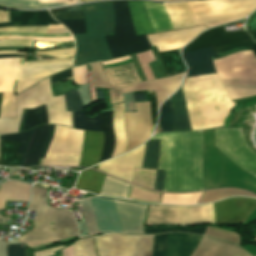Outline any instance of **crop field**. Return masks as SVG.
Instances as JSON below:
<instances>
[{"label":"crop field","mask_w":256,"mask_h":256,"mask_svg":"<svg viewBox=\"0 0 256 256\" xmlns=\"http://www.w3.org/2000/svg\"><path fill=\"white\" fill-rule=\"evenodd\" d=\"M42 2H76L75 0H42Z\"/></svg>","instance_id":"crop-field-71"},{"label":"crop field","mask_w":256,"mask_h":256,"mask_svg":"<svg viewBox=\"0 0 256 256\" xmlns=\"http://www.w3.org/2000/svg\"><path fill=\"white\" fill-rule=\"evenodd\" d=\"M231 196L255 197L249 193H245L237 190H215L210 192H204L198 204L212 202L218 199L231 197Z\"/></svg>","instance_id":"crop-field-38"},{"label":"crop field","mask_w":256,"mask_h":256,"mask_svg":"<svg viewBox=\"0 0 256 256\" xmlns=\"http://www.w3.org/2000/svg\"><path fill=\"white\" fill-rule=\"evenodd\" d=\"M100 126L104 133V145L101 153V161L109 159L115 145V135L112 128V111L100 112Z\"/></svg>","instance_id":"crop-field-29"},{"label":"crop field","mask_w":256,"mask_h":256,"mask_svg":"<svg viewBox=\"0 0 256 256\" xmlns=\"http://www.w3.org/2000/svg\"><path fill=\"white\" fill-rule=\"evenodd\" d=\"M1 97H2V93H0V105H1Z\"/></svg>","instance_id":"crop-field-75"},{"label":"crop field","mask_w":256,"mask_h":256,"mask_svg":"<svg viewBox=\"0 0 256 256\" xmlns=\"http://www.w3.org/2000/svg\"><path fill=\"white\" fill-rule=\"evenodd\" d=\"M16 101L13 93H3L0 118H16Z\"/></svg>","instance_id":"crop-field-44"},{"label":"crop field","mask_w":256,"mask_h":256,"mask_svg":"<svg viewBox=\"0 0 256 256\" xmlns=\"http://www.w3.org/2000/svg\"><path fill=\"white\" fill-rule=\"evenodd\" d=\"M115 14L114 36H104L111 57L137 53L151 48L146 36H135L127 1L111 2Z\"/></svg>","instance_id":"crop-field-8"},{"label":"crop field","mask_w":256,"mask_h":256,"mask_svg":"<svg viewBox=\"0 0 256 256\" xmlns=\"http://www.w3.org/2000/svg\"><path fill=\"white\" fill-rule=\"evenodd\" d=\"M206 227H198L192 229H182V228H144L145 234H157L161 232L169 231H179V232H189L202 235Z\"/></svg>","instance_id":"crop-field-52"},{"label":"crop field","mask_w":256,"mask_h":256,"mask_svg":"<svg viewBox=\"0 0 256 256\" xmlns=\"http://www.w3.org/2000/svg\"><path fill=\"white\" fill-rule=\"evenodd\" d=\"M84 131L55 125L43 165H78Z\"/></svg>","instance_id":"crop-field-12"},{"label":"crop field","mask_w":256,"mask_h":256,"mask_svg":"<svg viewBox=\"0 0 256 256\" xmlns=\"http://www.w3.org/2000/svg\"><path fill=\"white\" fill-rule=\"evenodd\" d=\"M158 57L164 66L167 76L186 71L179 49L158 53Z\"/></svg>","instance_id":"crop-field-31"},{"label":"crop field","mask_w":256,"mask_h":256,"mask_svg":"<svg viewBox=\"0 0 256 256\" xmlns=\"http://www.w3.org/2000/svg\"><path fill=\"white\" fill-rule=\"evenodd\" d=\"M108 161H109V160H108ZM108 161L99 164L98 169L103 170V171L106 172V170H107V165H108Z\"/></svg>","instance_id":"crop-field-70"},{"label":"crop field","mask_w":256,"mask_h":256,"mask_svg":"<svg viewBox=\"0 0 256 256\" xmlns=\"http://www.w3.org/2000/svg\"><path fill=\"white\" fill-rule=\"evenodd\" d=\"M247 31L256 39V12L251 14L248 18Z\"/></svg>","instance_id":"crop-field-58"},{"label":"crop field","mask_w":256,"mask_h":256,"mask_svg":"<svg viewBox=\"0 0 256 256\" xmlns=\"http://www.w3.org/2000/svg\"><path fill=\"white\" fill-rule=\"evenodd\" d=\"M87 34H73L76 45L74 66L111 59L103 35H113L114 15L110 2L81 5Z\"/></svg>","instance_id":"crop-field-3"},{"label":"crop field","mask_w":256,"mask_h":256,"mask_svg":"<svg viewBox=\"0 0 256 256\" xmlns=\"http://www.w3.org/2000/svg\"><path fill=\"white\" fill-rule=\"evenodd\" d=\"M27 54H9V55H0V58H5V57H26Z\"/></svg>","instance_id":"crop-field-69"},{"label":"crop field","mask_w":256,"mask_h":256,"mask_svg":"<svg viewBox=\"0 0 256 256\" xmlns=\"http://www.w3.org/2000/svg\"><path fill=\"white\" fill-rule=\"evenodd\" d=\"M155 171L156 170L135 168V174H134L132 182H135L137 184H140V185H143V186L153 189L154 179H155Z\"/></svg>","instance_id":"crop-field-46"},{"label":"crop field","mask_w":256,"mask_h":256,"mask_svg":"<svg viewBox=\"0 0 256 256\" xmlns=\"http://www.w3.org/2000/svg\"><path fill=\"white\" fill-rule=\"evenodd\" d=\"M65 105L68 110L72 111V123H73V111H84V107L79 99L76 89L65 94Z\"/></svg>","instance_id":"crop-field-49"},{"label":"crop field","mask_w":256,"mask_h":256,"mask_svg":"<svg viewBox=\"0 0 256 256\" xmlns=\"http://www.w3.org/2000/svg\"><path fill=\"white\" fill-rule=\"evenodd\" d=\"M74 53V48L69 49H58V50H48V51H36L37 55H50L56 58L71 57Z\"/></svg>","instance_id":"crop-field-54"},{"label":"crop field","mask_w":256,"mask_h":256,"mask_svg":"<svg viewBox=\"0 0 256 256\" xmlns=\"http://www.w3.org/2000/svg\"><path fill=\"white\" fill-rule=\"evenodd\" d=\"M17 107L35 108L46 104L49 124H61L72 127L71 112H67L64 105V95L52 97L49 78L34 87L15 95ZM17 119H0V134L17 132L22 109L17 108ZM73 128V127H72Z\"/></svg>","instance_id":"crop-field-6"},{"label":"crop field","mask_w":256,"mask_h":256,"mask_svg":"<svg viewBox=\"0 0 256 256\" xmlns=\"http://www.w3.org/2000/svg\"><path fill=\"white\" fill-rule=\"evenodd\" d=\"M75 256H96L92 237L80 239L74 246Z\"/></svg>","instance_id":"crop-field-48"},{"label":"crop field","mask_w":256,"mask_h":256,"mask_svg":"<svg viewBox=\"0 0 256 256\" xmlns=\"http://www.w3.org/2000/svg\"><path fill=\"white\" fill-rule=\"evenodd\" d=\"M7 256H25L24 244L7 245Z\"/></svg>","instance_id":"crop-field-56"},{"label":"crop field","mask_w":256,"mask_h":256,"mask_svg":"<svg viewBox=\"0 0 256 256\" xmlns=\"http://www.w3.org/2000/svg\"><path fill=\"white\" fill-rule=\"evenodd\" d=\"M206 28L203 25L177 30H170L162 33L148 34L151 46H157L159 52L181 48L184 44L191 41L197 34Z\"/></svg>","instance_id":"crop-field-21"},{"label":"crop field","mask_w":256,"mask_h":256,"mask_svg":"<svg viewBox=\"0 0 256 256\" xmlns=\"http://www.w3.org/2000/svg\"><path fill=\"white\" fill-rule=\"evenodd\" d=\"M24 116H25V110H23V113H22L21 123H20V127H19L18 132L22 131L23 124H24Z\"/></svg>","instance_id":"crop-field-73"},{"label":"crop field","mask_w":256,"mask_h":256,"mask_svg":"<svg viewBox=\"0 0 256 256\" xmlns=\"http://www.w3.org/2000/svg\"><path fill=\"white\" fill-rule=\"evenodd\" d=\"M9 18L10 23H2L0 24V28L47 26V24H59L53 20L48 11H10ZM0 32H28L45 34L46 27L6 28L0 29Z\"/></svg>","instance_id":"crop-field-19"},{"label":"crop field","mask_w":256,"mask_h":256,"mask_svg":"<svg viewBox=\"0 0 256 256\" xmlns=\"http://www.w3.org/2000/svg\"><path fill=\"white\" fill-rule=\"evenodd\" d=\"M3 38H20V39H34V41H48V42H65L71 41L72 36L67 35H40L28 33H0V39Z\"/></svg>","instance_id":"crop-field-35"},{"label":"crop field","mask_w":256,"mask_h":256,"mask_svg":"<svg viewBox=\"0 0 256 256\" xmlns=\"http://www.w3.org/2000/svg\"><path fill=\"white\" fill-rule=\"evenodd\" d=\"M104 72L112 87L115 104L123 102L120 87L141 82L131 62L119 67L106 68Z\"/></svg>","instance_id":"crop-field-24"},{"label":"crop field","mask_w":256,"mask_h":256,"mask_svg":"<svg viewBox=\"0 0 256 256\" xmlns=\"http://www.w3.org/2000/svg\"><path fill=\"white\" fill-rule=\"evenodd\" d=\"M201 236L183 233L155 235L153 256H190Z\"/></svg>","instance_id":"crop-field-18"},{"label":"crop field","mask_w":256,"mask_h":256,"mask_svg":"<svg viewBox=\"0 0 256 256\" xmlns=\"http://www.w3.org/2000/svg\"><path fill=\"white\" fill-rule=\"evenodd\" d=\"M33 40H13L3 39L0 40V46H31Z\"/></svg>","instance_id":"crop-field-57"},{"label":"crop field","mask_w":256,"mask_h":256,"mask_svg":"<svg viewBox=\"0 0 256 256\" xmlns=\"http://www.w3.org/2000/svg\"><path fill=\"white\" fill-rule=\"evenodd\" d=\"M49 125L38 126L26 132L1 136L0 139L21 143L16 153L22 154L20 166L38 165Z\"/></svg>","instance_id":"crop-field-16"},{"label":"crop field","mask_w":256,"mask_h":256,"mask_svg":"<svg viewBox=\"0 0 256 256\" xmlns=\"http://www.w3.org/2000/svg\"><path fill=\"white\" fill-rule=\"evenodd\" d=\"M159 123L162 132L173 130V113L171 99L168 98L161 106L159 112Z\"/></svg>","instance_id":"crop-field-40"},{"label":"crop field","mask_w":256,"mask_h":256,"mask_svg":"<svg viewBox=\"0 0 256 256\" xmlns=\"http://www.w3.org/2000/svg\"><path fill=\"white\" fill-rule=\"evenodd\" d=\"M130 185L131 184L122 182L118 179L105 176L104 183L99 195L127 198Z\"/></svg>","instance_id":"crop-field-32"},{"label":"crop field","mask_w":256,"mask_h":256,"mask_svg":"<svg viewBox=\"0 0 256 256\" xmlns=\"http://www.w3.org/2000/svg\"><path fill=\"white\" fill-rule=\"evenodd\" d=\"M237 246L202 236L191 256H252Z\"/></svg>","instance_id":"crop-field-25"},{"label":"crop field","mask_w":256,"mask_h":256,"mask_svg":"<svg viewBox=\"0 0 256 256\" xmlns=\"http://www.w3.org/2000/svg\"><path fill=\"white\" fill-rule=\"evenodd\" d=\"M103 145V134L85 131L80 165L90 166L99 162Z\"/></svg>","instance_id":"crop-field-27"},{"label":"crop field","mask_w":256,"mask_h":256,"mask_svg":"<svg viewBox=\"0 0 256 256\" xmlns=\"http://www.w3.org/2000/svg\"><path fill=\"white\" fill-rule=\"evenodd\" d=\"M41 124H47L45 105L35 109H27L23 131Z\"/></svg>","instance_id":"crop-field-36"},{"label":"crop field","mask_w":256,"mask_h":256,"mask_svg":"<svg viewBox=\"0 0 256 256\" xmlns=\"http://www.w3.org/2000/svg\"><path fill=\"white\" fill-rule=\"evenodd\" d=\"M148 94H149L150 105H151V110H152V125H154L157 120V112H156L157 103H156V98H155L154 92H151Z\"/></svg>","instance_id":"crop-field-59"},{"label":"crop field","mask_w":256,"mask_h":256,"mask_svg":"<svg viewBox=\"0 0 256 256\" xmlns=\"http://www.w3.org/2000/svg\"><path fill=\"white\" fill-rule=\"evenodd\" d=\"M144 147L145 144L118 158L111 159L107 173L131 182L134 167L141 168Z\"/></svg>","instance_id":"crop-field-23"},{"label":"crop field","mask_w":256,"mask_h":256,"mask_svg":"<svg viewBox=\"0 0 256 256\" xmlns=\"http://www.w3.org/2000/svg\"><path fill=\"white\" fill-rule=\"evenodd\" d=\"M74 123L77 129L101 132L97 113L94 118L90 119L83 112H74Z\"/></svg>","instance_id":"crop-field-41"},{"label":"crop field","mask_w":256,"mask_h":256,"mask_svg":"<svg viewBox=\"0 0 256 256\" xmlns=\"http://www.w3.org/2000/svg\"><path fill=\"white\" fill-rule=\"evenodd\" d=\"M159 146V140H149L146 142L142 168L156 169L159 156Z\"/></svg>","instance_id":"crop-field-37"},{"label":"crop field","mask_w":256,"mask_h":256,"mask_svg":"<svg viewBox=\"0 0 256 256\" xmlns=\"http://www.w3.org/2000/svg\"><path fill=\"white\" fill-rule=\"evenodd\" d=\"M187 4L195 24L207 28L246 17L256 8V0H198Z\"/></svg>","instance_id":"crop-field-7"},{"label":"crop field","mask_w":256,"mask_h":256,"mask_svg":"<svg viewBox=\"0 0 256 256\" xmlns=\"http://www.w3.org/2000/svg\"><path fill=\"white\" fill-rule=\"evenodd\" d=\"M201 194H163L161 203L163 204H196Z\"/></svg>","instance_id":"crop-field-42"},{"label":"crop field","mask_w":256,"mask_h":256,"mask_svg":"<svg viewBox=\"0 0 256 256\" xmlns=\"http://www.w3.org/2000/svg\"><path fill=\"white\" fill-rule=\"evenodd\" d=\"M182 55L189 68L187 77L216 73L211 57L216 56L217 54L212 47L184 53Z\"/></svg>","instance_id":"crop-field-26"},{"label":"crop field","mask_w":256,"mask_h":256,"mask_svg":"<svg viewBox=\"0 0 256 256\" xmlns=\"http://www.w3.org/2000/svg\"><path fill=\"white\" fill-rule=\"evenodd\" d=\"M136 57L139 60L140 66L146 76V79L147 80L155 79L148 64H147V63L155 60L151 50L144 52V53H138V54H136Z\"/></svg>","instance_id":"crop-field-50"},{"label":"crop field","mask_w":256,"mask_h":256,"mask_svg":"<svg viewBox=\"0 0 256 256\" xmlns=\"http://www.w3.org/2000/svg\"><path fill=\"white\" fill-rule=\"evenodd\" d=\"M135 105L137 113L124 112L127 134L125 152L144 143L150 137L152 131L149 102L135 103Z\"/></svg>","instance_id":"crop-field-17"},{"label":"crop field","mask_w":256,"mask_h":256,"mask_svg":"<svg viewBox=\"0 0 256 256\" xmlns=\"http://www.w3.org/2000/svg\"><path fill=\"white\" fill-rule=\"evenodd\" d=\"M72 66V61L25 66L17 80L16 94L32 87L37 80ZM15 80L12 59L0 60V91H11Z\"/></svg>","instance_id":"crop-field-11"},{"label":"crop field","mask_w":256,"mask_h":256,"mask_svg":"<svg viewBox=\"0 0 256 256\" xmlns=\"http://www.w3.org/2000/svg\"><path fill=\"white\" fill-rule=\"evenodd\" d=\"M0 5L27 8H45L66 5L65 3H41V0H0Z\"/></svg>","instance_id":"crop-field-43"},{"label":"crop field","mask_w":256,"mask_h":256,"mask_svg":"<svg viewBox=\"0 0 256 256\" xmlns=\"http://www.w3.org/2000/svg\"><path fill=\"white\" fill-rule=\"evenodd\" d=\"M31 186L22 182H6L0 189V209H4L5 201L27 202Z\"/></svg>","instance_id":"crop-field-28"},{"label":"crop field","mask_w":256,"mask_h":256,"mask_svg":"<svg viewBox=\"0 0 256 256\" xmlns=\"http://www.w3.org/2000/svg\"><path fill=\"white\" fill-rule=\"evenodd\" d=\"M164 172H165V170H157V173H156V184H155V189L156 190H160L161 191V189H162Z\"/></svg>","instance_id":"crop-field-61"},{"label":"crop field","mask_w":256,"mask_h":256,"mask_svg":"<svg viewBox=\"0 0 256 256\" xmlns=\"http://www.w3.org/2000/svg\"><path fill=\"white\" fill-rule=\"evenodd\" d=\"M72 246H73V244L63 248L64 256H73ZM63 253H62V249H60V250L54 252V256H63Z\"/></svg>","instance_id":"crop-field-63"},{"label":"crop field","mask_w":256,"mask_h":256,"mask_svg":"<svg viewBox=\"0 0 256 256\" xmlns=\"http://www.w3.org/2000/svg\"><path fill=\"white\" fill-rule=\"evenodd\" d=\"M69 75H71V69L67 70V71H64V72H61V73H58L56 75H53V76L50 77L51 83L54 82V81H57V80H59L61 78H64L66 76H69ZM71 78H72V75L69 76V77H66L64 79H61V80H59L57 82L65 81V80H68V79H71ZM57 82H54V83H57Z\"/></svg>","instance_id":"crop-field-60"},{"label":"crop field","mask_w":256,"mask_h":256,"mask_svg":"<svg viewBox=\"0 0 256 256\" xmlns=\"http://www.w3.org/2000/svg\"><path fill=\"white\" fill-rule=\"evenodd\" d=\"M73 80L77 85H84L88 83L86 66L73 68Z\"/></svg>","instance_id":"crop-field-55"},{"label":"crop field","mask_w":256,"mask_h":256,"mask_svg":"<svg viewBox=\"0 0 256 256\" xmlns=\"http://www.w3.org/2000/svg\"><path fill=\"white\" fill-rule=\"evenodd\" d=\"M173 113H174V129L175 131H192L189 124L181 90L171 96Z\"/></svg>","instance_id":"crop-field-30"},{"label":"crop field","mask_w":256,"mask_h":256,"mask_svg":"<svg viewBox=\"0 0 256 256\" xmlns=\"http://www.w3.org/2000/svg\"><path fill=\"white\" fill-rule=\"evenodd\" d=\"M47 29H66L63 25H48Z\"/></svg>","instance_id":"crop-field-72"},{"label":"crop field","mask_w":256,"mask_h":256,"mask_svg":"<svg viewBox=\"0 0 256 256\" xmlns=\"http://www.w3.org/2000/svg\"><path fill=\"white\" fill-rule=\"evenodd\" d=\"M104 174L86 170L81 172L78 182L74 188L88 190L95 193H99Z\"/></svg>","instance_id":"crop-field-33"},{"label":"crop field","mask_w":256,"mask_h":256,"mask_svg":"<svg viewBox=\"0 0 256 256\" xmlns=\"http://www.w3.org/2000/svg\"><path fill=\"white\" fill-rule=\"evenodd\" d=\"M128 3L136 35L195 25L193 17L185 2L166 3L175 28L165 4H157L158 2L146 3L156 31L145 1H128Z\"/></svg>","instance_id":"crop-field-5"},{"label":"crop field","mask_w":256,"mask_h":256,"mask_svg":"<svg viewBox=\"0 0 256 256\" xmlns=\"http://www.w3.org/2000/svg\"><path fill=\"white\" fill-rule=\"evenodd\" d=\"M48 187L34 185L29 210L37 211L33 231L17 239L26 246L31 247L71 236L77 235L72 215L67 211L55 210L45 203ZM50 221L53 223L49 225Z\"/></svg>","instance_id":"crop-field-4"},{"label":"crop field","mask_w":256,"mask_h":256,"mask_svg":"<svg viewBox=\"0 0 256 256\" xmlns=\"http://www.w3.org/2000/svg\"><path fill=\"white\" fill-rule=\"evenodd\" d=\"M8 12L9 11L0 10V22H9Z\"/></svg>","instance_id":"crop-field-66"},{"label":"crop field","mask_w":256,"mask_h":256,"mask_svg":"<svg viewBox=\"0 0 256 256\" xmlns=\"http://www.w3.org/2000/svg\"><path fill=\"white\" fill-rule=\"evenodd\" d=\"M62 247L63 246H59V247H56V248H53V249H49V250H46V251L37 252V253H35V256H51V255H53V251H55L57 249H60Z\"/></svg>","instance_id":"crop-field-64"},{"label":"crop field","mask_w":256,"mask_h":256,"mask_svg":"<svg viewBox=\"0 0 256 256\" xmlns=\"http://www.w3.org/2000/svg\"><path fill=\"white\" fill-rule=\"evenodd\" d=\"M95 87L110 88L100 63L90 64Z\"/></svg>","instance_id":"crop-field-51"},{"label":"crop field","mask_w":256,"mask_h":256,"mask_svg":"<svg viewBox=\"0 0 256 256\" xmlns=\"http://www.w3.org/2000/svg\"><path fill=\"white\" fill-rule=\"evenodd\" d=\"M95 240L99 256H152L153 235L107 234Z\"/></svg>","instance_id":"crop-field-13"},{"label":"crop field","mask_w":256,"mask_h":256,"mask_svg":"<svg viewBox=\"0 0 256 256\" xmlns=\"http://www.w3.org/2000/svg\"><path fill=\"white\" fill-rule=\"evenodd\" d=\"M151 139L161 143L157 169H166L162 191L203 190L201 131L161 133Z\"/></svg>","instance_id":"crop-field-2"},{"label":"crop field","mask_w":256,"mask_h":256,"mask_svg":"<svg viewBox=\"0 0 256 256\" xmlns=\"http://www.w3.org/2000/svg\"><path fill=\"white\" fill-rule=\"evenodd\" d=\"M203 235H207L209 237H213V238L220 239L223 241L239 244L237 234L228 232V231H224L221 229L207 227Z\"/></svg>","instance_id":"crop-field-47"},{"label":"crop field","mask_w":256,"mask_h":256,"mask_svg":"<svg viewBox=\"0 0 256 256\" xmlns=\"http://www.w3.org/2000/svg\"><path fill=\"white\" fill-rule=\"evenodd\" d=\"M212 46L217 54L235 47L256 51L245 29L229 32L226 26L198 36L183 52ZM256 58V52L252 53ZM250 51L236 52L215 60V69L231 100L256 95V59ZM217 74L186 78L182 93L193 131L223 126L235 103L231 102Z\"/></svg>","instance_id":"crop-field-1"},{"label":"crop field","mask_w":256,"mask_h":256,"mask_svg":"<svg viewBox=\"0 0 256 256\" xmlns=\"http://www.w3.org/2000/svg\"><path fill=\"white\" fill-rule=\"evenodd\" d=\"M68 28L71 33H86L84 20H58Z\"/></svg>","instance_id":"crop-field-53"},{"label":"crop field","mask_w":256,"mask_h":256,"mask_svg":"<svg viewBox=\"0 0 256 256\" xmlns=\"http://www.w3.org/2000/svg\"><path fill=\"white\" fill-rule=\"evenodd\" d=\"M53 17L56 19H77L85 18L79 5L66 8H58L50 10Z\"/></svg>","instance_id":"crop-field-45"},{"label":"crop field","mask_w":256,"mask_h":256,"mask_svg":"<svg viewBox=\"0 0 256 256\" xmlns=\"http://www.w3.org/2000/svg\"><path fill=\"white\" fill-rule=\"evenodd\" d=\"M123 233H143L147 205L114 200Z\"/></svg>","instance_id":"crop-field-22"},{"label":"crop field","mask_w":256,"mask_h":256,"mask_svg":"<svg viewBox=\"0 0 256 256\" xmlns=\"http://www.w3.org/2000/svg\"><path fill=\"white\" fill-rule=\"evenodd\" d=\"M216 224H243L256 208V200L246 198L225 199L214 203Z\"/></svg>","instance_id":"crop-field-20"},{"label":"crop field","mask_w":256,"mask_h":256,"mask_svg":"<svg viewBox=\"0 0 256 256\" xmlns=\"http://www.w3.org/2000/svg\"><path fill=\"white\" fill-rule=\"evenodd\" d=\"M68 33L67 30H47L46 34H61Z\"/></svg>","instance_id":"crop-field-68"},{"label":"crop field","mask_w":256,"mask_h":256,"mask_svg":"<svg viewBox=\"0 0 256 256\" xmlns=\"http://www.w3.org/2000/svg\"><path fill=\"white\" fill-rule=\"evenodd\" d=\"M8 53H23V52H16V51H1L0 54H8Z\"/></svg>","instance_id":"crop-field-74"},{"label":"crop field","mask_w":256,"mask_h":256,"mask_svg":"<svg viewBox=\"0 0 256 256\" xmlns=\"http://www.w3.org/2000/svg\"><path fill=\"white\" fill-rule=\"evenodd\" d=\"M19 144L0 141V165L19 166L21 155L15 154Z\"/></svg>","instance_id":"crop-field-34"},{"label":"crop field","mask_w":256,"mask_h":256,"mask_svg":"<svg viewBox=\"0 0 256 256\" xmlns=\"http://www.w3.org/2000/svg\"><path fill=\"white\" fill-rule=\"evenodd\" d=\"M53 129H54V125H50V132H49V135H48V137H47V139H46V141L44 143V147H43L42 153L40 155V158H44L45 157L48 145L50 143V140H51V137H52V134H53Z\"/></svg>","instance_id":"crop-field-62"},{"label":"crop field","mask_w":256,"mask_h":256,"mask_svg":"<svg viewBox=\"0 0 256 256\" xmlns=\"http://www.w3.org/2000/svg\"><path fill=\"white\" fill-rule=\"evenodd\" d=\"M201 223H215L213 203L188 207L150 205L146 225Z\"/></svg>","instance_id":"crop-field-9"},{"label":"crop field","mask_w":256,"mask_h":256,"mask_svg":"<svg viewBox=\"0 0 256 256\" xmlns=\"http://www.w3.org/2000/svg\"><path fill=\"white\" fill-rule=\"evenodd\" d=\"M80 202L89 235L103 232L122 233L113 200L93 196L81 199Z\"/></svg>","instance_id":"crop-field-14"},{"label":"crop field","mask_w":256,"mask_h":256,"mask_svg":"<svg viewBox=\"0 0 256 256\" xmlns=\"http://www.w3.org/2000/svg\"><path fill=\"white\" fill-rule=\"evenodd\" d=\"M160 195L158 192L145 190L132 184L128 198L147 203H159Z\"/></svg>","instance_id":"crop-field-39"},{"label":"crop field","mask_w":256,"mask_h":256,"mask_svg":"<svg viewBox=\"0 0 256 256\" xmlns=\"http://www.w3.org/2000/svg\"><path fill=\"white\" fill-rule=\"evenodd\" d=\"M128 59H130L129 56H126V57H121V58L110 60V61H103L101 63L102 65H106V64L117 63V62L128 60Z\"/></svg>","instance_id":"crop-field-65"},{"label":"crop field","mask_w":256,"mask_h":256,"mask_svg":"<svg viewBox=\"0 0 256 256\" xmlns=\"http://www.w3.org/2000/svg\"><path fill=\"white\" fill-rule=\"evenodd\" d=\"M215 147L233 163L256 177V153L248 148L241 129H215Z\"/></svg>","instance_id":"crop-field-15"},{"label":"crop field","mask_w":256,"mask_h":256,"mask_svg":"<svg viewBox=\"0 0 256 256\" xmlns=\"http://www.w3.org/2000/svg\"><path fill=\"white\" fill-rule=\"evenodd\" d=\"M67 60H72V59H66V60H47V61H30V62H26L25 65L38 64V63H46V62H56V61H67Z\"/></svg>","instance_id":"crop-field-67"},{"label":"crop field","mask_w":256,"mask_h":256,"mask_svg":"<svg viewBox=\"0 0 256 256\" xmlns=\"http://www.w3.org/2000/svg\"><path fill=\"white\" fill-rule=\"evenodd\" d=\"M184 74L185 73L175 75L169 78H161L157 80L144 81L132 86L123 87L121 88V90L122 92L140 91V90L155 91L158 107H159L160 104L178 88L179 84L183 79ZM112 109H113V127L116 135V145L112 153L113 155L125 149L126 134L124 130L123 107H117Z\"/></svg>","instance_id":"crop-field-10"}]
</instances>
